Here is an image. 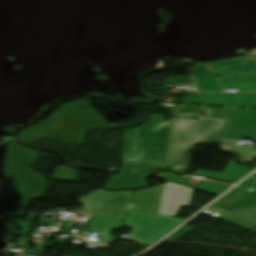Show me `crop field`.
<instances>
[{
	"label": "crop field",
	"instance_id": "1",
	"mask_svg": "<svg viewBox=\"0 0 256 256\" xmlns=\"http://www.w3.org/2000/svg\"><path fill=\"white\" fill-rule=\"evenodd\" d=\"M229 125V122L225 120L203 117H199L197 122L173 119L171 150L167 168L178 173L187 172L189 158L195 145L202 143H220Z\"/></svg>",
	"mask_w": 256,
	"mask_h": 256
},
{
	"label": "crop field",
	"instance_id": "2",
	"mask_svg": "<svg viewBox=\"0 0 256 256\" xmlns=\"http://www.w3.org/2000/svg\"><path fill=\"white\" fill-rule=\"evenodd\" d=\"M169 122L152 116L144 127L126 133L121 161L165 162Z\"/></svg>",
	"mask_w": 256,
	"mask_h": 256
},
{
	"label": "crop field",
	"instance_id": "3",
	"mask_svg": "<svg viewBox=\"0 0 256 256\" xmlns=\"http://www.w3.org/2000/svg\"><path fill=\"white\" fill-rule=\"evenodd\" d=\"M194 189L170 182L135 191L129 210L175 217L180 206L189 207Z\"/></svg>",
	"mask_w": 256,
	"mask_h": 256
},
{
	"label": "crop field",
	"instance_id": "4",
	"mask_svg": "<svg viewBox=\"0 0 256 256\" xmlns=\"http://www.w3.org/2000/svg\"><path fill=\"white\" fill-rule=\"evenodd\" d=\"M90 194V193H89ZM88 195V194H87ZM131 191L109 193L98 190L79 200L84 204L81 221L67 219L62 221L65 226H84L94 215L122 220L127 213Z\"/></svg>",
	"mask_w": 256,
	"mask_h": 256
},
{
	"label": "crop field",
	"instance_id": "5",
	"mask_svg": "<svg viewBox=\"0 0 256 256\" xmlns=\"http://www.w3.org/2000/svg\"><path fill=\"white\" fill-rule=\"evenodd\" d=\"M184 219L130 211L123 226L133 228L126 240L150 246Z\"/></svg>",
	"mask_w": 256,
	"mask_h": 256
},
{
	"label": "crop field",
	"instance_id": "6",
	"mask_svg": "<svg viewBox=\"0 0 256 256\" xmlns=\"http://www.w3.org/2000/svg\"><path fill=\"white\" fill-rule=\"evenodd\" d=\"M164 166L165 164L152 163L122 164L119 175L113 178L107 187L125 188L146 185V183L142 180L143 176Z\"/></svg>",
	"mask_w": 256,
	"mask_h": 256
},
{
	"label": "crop field",
	"instance_id": "7",
	"mask_svg": "<svg viewBox=\"0 0 256 256\" xmlns=\"http://www.w3.org/2000/svg\"><path fill=\"white\" fill-rule=\"evenodd\" d=\"M255 188L254 191H246L249 188ZM256 205V175L245 180L236 189L223 197L214 206L228 211H235Z\"/></svg>",
	"mask_w": 256,
	"mask_h": 256
},
{
	"label": "crop field",
	"instance_id": "8",
	"mask_svg": "<svg viewBox=\"0 0 256 256\" xmlns=\"http://www.w3.org/2000/svg\"><path fill=\"white\" fill-rule=\"evenodd\" d=\"M205 212L218 216L248 229L256 227V206L229 213L217 207H210Z\"/></svg>",
	"mask_w": 256,
	"mask_h": 256
},
{
	"label": "crop field",
	"instance_id": "9",
	"mask_svg": "<svg viewBox=\"0 0 256 256\" xmlns=\"http://www.w3.org/2000/svg\"><path fill=\"white\" fill-rule=\"evenodd\" d=\"M197 171L193 173V175L218 180L230 184H235L238 182L241 178H243L245 175L249 173V169L246 167H242L237 165L233 159L232 161L225 167L222 174L206 171L202 169L196 168Z\"/></svg>",
	"mask_w": 256,
	"mask_h": 256
},
{
	"label": "crop field",
	"instance_id": "10",
	"mask_svg": "<svg viewBox=\"0 0 256 256\" xmlns=\"http://www.w3.org/2000/svg\"><path fill=\"white\" fill-rule=\"evenodd\" d=\"M86 226L90 227V231L98 232L103 234L101 240L98 242L99 244H111L116 239L113 238L110 234L111 229L122 227L121 222L117 220L105 219L95 217L91 220Z\"/></svg>",
	"mask_w": 256,
	"mask_h": 256
},
{
	"label": "crop field",
	"instance_id": "11",
	"mask_svg": "<svg viewBox=\"0 0 256 256\" xmlns=\"http://www.w3.org/2000/svg\"><path fill=\"white\" fill-rule=\"evenodd\" d=\"M201 107L184 105L173 112V118L197 119Z\"/></svg>",
	"mask_w": 256,
	"mask_h": 256
},
{
	"label": "crop field",
	"instance_id": "12",
	"mask_svg": "<svg viewBox=\"0 0 256 256\" xmlns=\"http://www.w3.org/2000/svg\"><path fill=\"white\" fill-rule=\"evenodd\" d=\"M52 179L58 181L75 182L77 181V172L74 169L59 166L55 169V173Z\"/></svg>",
	"mask_w": 256,
	"mask_h": 256
},
{
	"label": "crop field",
	"instance_id": "13",
	"mask_svg": "<svg viewBox=\"0 0 256 256\" xmlns=\"http://www.w3.org/2000/svg\"><path fill=\"white\" fill-rule=\"evenodd\" d=\"M167 181H171V182H175L179 185H183V186H187V187H191L194 189L199 188V185H193V184H188L186 182H184V180L186 179V177H181V176H176L167 172H161L159 175L155 176Z\"/></svg>",
	"mask_w": 256,
	"mask_h": 256
},
{
	"label": "crop field",
	"instance_id": "14",
	"mask_svg": "<svg viewBox=\"0 0 256 256\" xmlns=\"http://www.w3.org/2000/svg\"><path fill=\"white\" fill-rule=\"evenodd\" d=\"M228 187L230 186L213 183V182H207L204 186L200 187L198 190L208 192L214 195H218Z\"/></svg>",
	"mask_w": 256,
	"mask_h": 256
},
{
	"label": "crop field",
	"instance_id": "15",
	"mask_svg": "<svg viewBox=\"0 0 256 256\" xmlns=\"http://www.w3.org/2000/svg\"><path fill=\"white\" fill-rule=\"evenodd\" d=\"M27 242H28V239H19L16 242V245L20 246V247H25L23 253L32 254V255H38V256L42 255V251H43V247L44 246H36L35 250H31V249H27V247H28Z\"/></svg>",
	"mask_w": 256,
	"mask_h": 256
},
{
	"label": "crop field",
	"instance_id": "16",
	"mask_svg": "<svg viewBox=\"0 0 256 256\" xmlns=\"http://www.w3.org/2000/svg\"><path fill=\"white\" fill-rule=\"evenodd\" d=\"M35 217V214H30L28 220L16 222L18 226H21V230L23 231V236L20 238H25V236L27 235L28 228L31 226V223Z\"/></svg>",
	"mask_w": 256,
	"mask_h": 256
},
{
	"label": "crop field",
	"instance_id": "17",
	"mask_svg": "<svg viewBox=\"0 0 256 256\" xmlns=\"http://www.w3.org/2000/svg\"><path fill=\"white\" fill-rule=\"evenodd\" d=\"M193 227H187V228H181L178 230L176 233H174L172 236L168 238V240H174L177 241L180 239L182 236H184L187 232H189Z\"/></svg>",
	"mask_w": 256,
	"mask_h": 256
},
{
	"label": "crop field",
	"instance_id": "18",
	"mask_svg": "<svg viewBox=\"0 0 256 256\" xmlns=\"http://www.w3.org/2000/svg\"><path fill=\"white\" fill-rule=\"evenodd\" d=\"M40 220L43 221V222H46L49 226H56V225H58V222H57V221H55V220H50V219H48V218H46V217L40 216Z\"/></svg>",
	"mask_w": 256,
	"mask_h": 256
},
{
	"label": "crop field",
	"instance_id": "19",
	"mask_svg": "<svg viewBox=\"0 0 256 256\" xmlns=\"http://www.w3.org/2000/svg\"><path fill=\"white\" fill-rule=\"evenodd\" d=\"M22 256H24V255H22Z\"/></svg>",
	"mask_w": 256,
	"mask_h": 256
}]
</instances>
